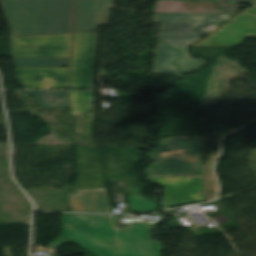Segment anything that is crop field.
<instances>
[{
  "label": "crop field",
  "mask_w": 256,
  "mask_h": 256,
  "mask_svg": "<svg viewBox=\"0 0 256 256\" xmlns=\"http://www.w3.org/2000/svg\"><path fill=\"white\" fill-rule=\"evenodd\" d=\"M117 216L63 214L61 235L96 256H160L151 239L153 224L117 228Z\"/></svg>",
  "instance_id": "1"
},
{
  "label": "crop field",
  "mask_w": 256,
  "mask_h": 256,
  "mask_svg": "<svg viewBox=\"0 0 256 256\" xmlns=\"http://www.w3.org/2000/svg\"><path fill=\"white\" fill-rule=\"evenodd\" d=\"M76 0H1L11 37L73 33Z\"/></svg>",
  "instance_id": "2"
},
{
  "label": "crop field",
  "mask_w": 256,
  "mask_h": 256,
  "mask_svg": "<svg viewBox=\"0 0 256 256\" xmlns=\"http://www.w3.org/2000/svg\"><path fill=\"white\" fill-rule=\"evenodd\" d=\"M156 160L146 175H201L202 164L198 137L160 139L157 148L147 155Z\"/></svg>",
  "instance_id": "3"
},
{
  "label": "crop field",
  "mask_w": 256,
  "mask_h": 256,
  "mask_svg": "<svg viewBox=\"0 0 256 256\" xmlns=\"http://www.w3.org/2000/svg\"><path fill=\"white\" fill-rule=\"evenodd\" d=\"M73 34L11 38L12 57H70Z\"/></svg>",
  "instance_id": "4"
},
{
  "label": "crop field",
  "mask_w": 256,
  "mask_h": 256,
  "mask_svg": "<svg viewBox=\"0 0 256 256\" xmlns=\"http://www.w3.org/2000/svg\"><path fill=\"white\" fill-rule=\"evenodd\" d=\"M152 183L165 187V208L207 201L202 194L201 178L147 176ZM201 177V176H196Z\"/></svg>",
  "instance_id": "5"
},
{
  "label": "crop field",
  "mask_w": 256,
  "mask_h": 256,
  "mask_svg": "<svg viewBox=\"0 0 256 256\" xmlns=\"http://www.w3.org/2000/svg\"><path fill=\"white\" fill-rule=\"evenodd\" d=\"M96 33H75L70 89H91Z\"/></svg>",
  "instance_id": "6"
},
{
  "label": "crop field",
  "mask_w": 256,
  "mask_h": 256,
  "mask_svg": "<svg viewBox=\"0 0 256 256\" xmlns=\"http://www.w3.org/2000/svg\"><path fill=\"white\" fill-rule=\"evenodd\" d=\"M188 48L159 46L153 73L184 76L207 64L202 59H193Z\"/></svg>",
  "instance_id": "7"
},
{
  "label": "crop field",
  "mask_w": 256,
  "mask_h": 256,
  "mask_svg": "<svg viewBox=\"0 0 256 256\" xmlns=\"http://www.w3.org/2000/svg\"><path fill=\"white\" fill-rule=\"evenodd\" d=\"M24 89H68L70 68H16Z\"/></svg>",
  "instance_id": "8"
},
{
  "label": "crop field",
  "mask_w": 256,
  "mask_h": 256,
  "mask_svg": "<svg viewBox=\"0 0 256 256\" xmlns=\"http://www.w3.org/2000/svg\"><path fill=\"white\" fill-rule=\"evenodd\" d=\"M249 34L256 35V17L242 13L195 46L243 44Z\"/></svg>",
  "instance_id": "9"
},
{
  "label": "crop field",
  "mask_w": 256,
  "mask_h": 256,
  "mask_svg": "<svg viewBox=\"0 0 256 256\" xmlns=\"http://www.w3.org/2000/svg\"><path fill=\"white\" fill-rule=\"evenodd\" d=\"M217 27L211 24H162L160 45L190 46Z\"/></svg>",
  "instance_id": "10"
},
{
  "label": "crop field",
  "mask_w": 256,
  "mask_h": 256,
  "mask_svg": "<svg viewBox=\"0 0 256 256\" xmlns=\"http://www.w3.org/2000/svg\"><path fill=\"white\" fill-rule=\"evenodd\" d=\"M111 0H77L75 32L97 31L98 24H107Z\"/></svg>",
  "instance_id": "11"
},
{
  "label": "crop field",
  "mask_w": 256,
  "mask_h": 256,
  "mask_svg": "<svg viewBox=\"0 0 256 256\" xmlns=\"http://www.w3.org/2000/svg\"><path fill=\"white\" fill-rule=\"evenodd\" d=\"M69 199L72 212L110 213L105 189L78 191Z\"/></svg>",
  "instance_id": "12"
},
{
  "label": "crop field",
  "mask_w": 256,
  "mask_h": 256,
  "mask_svg": "<svg viewBox=\"0 0 256 256\" xmlns=\"http://www.w3.org/2000/svg\"><path fill=\"white\" fill-rule=\"evenodd\" d=\"M41 107H69L68 91H27Z\"/></svg>",
  "instance_id": "13"
},
{
  "label": "crop field",
  "mask_w": 256,
  "mask_h": 256,
  "mask_svg": "<svg viewBox=\"0 0 256 256\" xmlns=\"http://www.w3.org/2000/svg\"><path fill=\"white\" fill-rule=\"evenodd\" d=\"M16 67H70V58H13Z\"/></svg>",
  "instance_id": "14"
},
{
  "label": "crop field",
  "mask_w": 256,
  "mask_h": 256,
  "mask_svg": "<svg viewBox=\"0 0 256 256\" xmlns=\"http://www.w3.org/2000/svg\"><path fill=\"white\" fill-rule=\"evenodd\" d=\"M93 96L94 92L70 91L72 111L94 115Z\"/></svg>",
  "instance_id": "15"
},
{
  "label": "crop field",
  "mask_w": 256,
  "mask_h": 256,
  "mask_svg": "<svg viewBox=\"0 0 256 256\" xmlns=\"http://www.w3.org/2000/svg\"><path fill=\"white\" fill-rule=\"evenodd\" d=\"M210 16V14L157 13L156 21L163 23H207Z\"/></svg>",
  "instance_id": "16"
},
{
  "label": "crop field",
  "mask_w": 256,
  "mask_h": 256,
  "mask_svg": "<svg viewBox=\"0 0 256 256\" xmlns=\"http://www.w3.org/2000/svg\"><path fill=\"white\" fill-rule=\"evenodd\" d=\"M132 213L157 211L158 207L155 202L140 195H129Z\"/></svg>",
  "instance_id": "17"
},
{
  "label": "crop field",
  "mask_w": 256,
  "mask_h": 256,
  "mask_svg": "<svg viewBox=\"0 0 256 256\" xmlns=\"http://www.w3.org/2000/svg\"><path fill=\"white\" fill-rule=\"evenodd\" d=\"M71 114L76 119L75 134L91 135L94 116L86 115L89 117V120H86V117L82 114L74 112H71Z\"/></svg>",
  "instance_id": "18"
},
{
  "label": "crop field",
  "mask_w": 256,
  "mask_h": 256,
  "mask_svg": "<svg viewBox=\"0 0 256 256\" xmlns=\"http://www.w3.org/2000/svg\"><path fill=\"white\" fill-rule=\"evenodd\" d=\"M232 16L234 15L233 14H214L211 16L209 23L214 25H220Z\"/></svg>",
  "instance_id": "19"
},
{
  "label": "crop field",
  "mask_w": 256,
  "mask_h": 256,
  "mask_svg": "<svg viewBox=\"0 0 256 256\" xmlns=\"http://www.w3.org/2000/svg\"><path fill=\"white\" fill-rule=\"evenodd\" d=\"M222 1L245 3V4H251V5L256 4V0H222Z\"/></svg>",
  "instance_id": "20"
},
{
  "label": "crop field",
  "mask_w": 256,
  "mask_h": 256,
  "mask_svg": "<svg viewBox=\"0 0 256 256\" xmlns=\"http://www.w3.org/2000/svg\"><path fill=\"white\" fill-rule=\"evenodd\" d=\"M244 12L256 15V7H252V8H250V9L244 11Z\"/></svg>",
  "instance_id": "21"
}]
</instances>
